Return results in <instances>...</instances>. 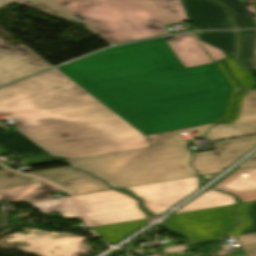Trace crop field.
<instances>
[{
	"instance_id": "8a807250",
	"label": "crop field",
	"mask_w": 256,
	"mask_h": 256,
	"mask_svg": "<svg viewBox=\"0 0 256 256\" xmlns=\"http://www.w3.org/2000/svg\"><path fill=\"white\" fill-rule=\"evenodd\" d=\"M144 136L214 122L233 88L215 63L185 69L163 38L57 68Z\"/></svg>"
},
{
	"instance_id": "ac0d7876",
	"label": "crop field",
	"mask_w": 256,
	"mask_h": 256,
	"mask_svg": "<svg viewBox=\"0 0 256 256\" xmlns=\"http://www.w3.org/2000/svg\"><path fill=\"white\" fill-rule=\"evenodd\" d=\"M0 115L68 159L150 147L147 138L56 69L0 89Z\"/></svg>"
},
{
	"instance_id": "34b2d1b8",
	"label": "crop field",
	"mask_w": 256,
	"mask_h": 256,
	"mask_svg": "<svg viewBox=\"0 0 256 256\" xmlns=\"http://www.w3.org/2000/svg\"><path fill=\"white\" fill-rule=\"evenodd\" d=\"M214 123L147 136L151 148L68 160L107 182L111 188L129 187L197 176L189 167L190 154L181 132L195 129L200 136Z\"/></svg>"
},
{
	"instance_id": "412701ff",
	"label": "crop field",
	"mask_w": 256,
	"mask_h": 256,
	"mask_svg": "<svg viewBox=\"0 0 256 256\" xmlns=\"http://www.w3.org/2000/svg\"><path fill=\"white\" fill-rule=\"evenodd\" d=\"M112 44L167 34L187 21L179 0H52Z\"/></svg>"
},
{
	"instance_id": "f4fd0767",
	"label": "crop field",
	"mask_w": 256,
	"mask_h": 256,
	"mask_svg": "<svg viewBox=\"0 0 256 256\" xmlns=\"http://www.w3.org/2000/svg\"><path fill=\"white\" fill-rule=\"evenodd\" d=\"M90 227L146 218L137 200L113 190L75 196Z\"/></svg>"
},
{
	"instance_id": "dd49c442",
	"label": "crop field",
	"mask_w": 256,
	"mask_h": 256,
	"mask_svg": "<svg viewBox=\"0 0 256 256\" xmlns=\"http://www.w3.org/2000/svg\"><path fill=\"white\" fill-rule=\"evenodd\" d=\"M232 206L176 214L163 223L168 230L186 234L192 242L219 238L236 220L229 214Z\"/></svg>"
},
{
	"instance_id": "e52e79f7",
	"label": "crop field",
	"mask_w": 256,
	"mask_h": 256,
	"mask_svg": "<svg viewBox=\"0 0 256 256\" xmlns=\"http://www.w3.org/2000/svg\"><path fill=\"white\" fill-rule=\"evenodd\" d=\"M198 187L197 177L126 188L144 199V207L157 215ZM194 192V191H193ZM190 195V194H189Z\"/></svg>"
},
{
	"instance_id": "d8731c3e",
	"label": "crop field",
	"mask_w": 256,
	"mask_h": 256,
	"mask_svg": "<svg viewBox=\"0 0 256 256\" xmlns=\"http://www.w3.org/2000/svg\"><path fill=\"white\" fill-rule=\"evenodd\" d=\"M52 67L24 45L11 46L0 39V85Z\"/></svg>"
},
{
	"instance_id": "5a996713",
	"label": "crop field",
	"mask_w": 256,
	"mask_h": 256,
	"mask_svg": "<svg viewBox=\"0 0 256 256\" xmlns=\"http://www.w3.org/2000/svg\"><path fill=\"white\" fill-rule=\"evenodd\" d=\"M214 146L216 150L193 154L192 166L199 170V175L224 170L245 152L256 146V136L221 142Z\"/></svg>"
},
{
	"instance_id": "3316defc",
	"label": "crop field",
	"mask_w": 256,
	"mask_h": 256,
	"mask_svg": "<svg viewBox=\"0 0 256 256\" xmlns=\"http://www.w3.org/2000/svg\"><path fill=\"white\" fill-rule=\"evenodd\" d=\"M27 174L37 176L56 184L67 190L73 196L109 189L103 181L97 180L91 175L82 171H77L69 166L30 172Z\"/></svg>"
},
{
	"instance_id": "28ad6ade",
	"label": "crop field",
	"mask_w": 256,
	"mask_h": 256,
	"mask_svg": "<svg viewBox=\"0 0 256 256\" xmlns=\"http://www.w3.org/2000/svg\"><path fill=\"white\" fill-rule=\"evenodd\" d=\"M187 17L197 29H232L228 22L229 12L210 0H180Z\"/></svg>"
},
{
	"instance_id": "d1516ede",
	"label": "crop field",
	"mask_w": 256,
	"mask_h": 256,
	"mask_svg": "<svg viewBox=\"0 0 256 256\" xmlns=\"http://www.w3.org/2000/svg\"><path fill=\"white\" fill-rule=\"evenodd\" d=\"M166 43L185 68L212 63V59L199 44L194 33L174 35Z\"/></svg>"
},
{
	"instance_id": "22f410ed",
	"label": "crop field",
	"mask_w": 256,
	"mask_h": 256,
	"mask_svg": "<svg viewBox=\"0 0 256 256\" xmlns=\"http://www.w3.org/2000/svg\"><path fill=\"white\" fill-rule=\"evenodd\" d=\"M214 189L235 194L243 203L256 201V167L236 171Z\"/></svg>"
},
{
	"instance_id": "cbeb9de0",
	"label": "crop field",
	"mask_w": 256,
	"mask_h": 256,
	"mask_svg": "<svg viewBox=\"0 0 256 256\" xmlns=\"http://www.w3.org/2000/svg\"><path fill=\"white\" fill-rule=\"evenodd\" d=\"M60 189L46 183H36L25 186L0 190V199L6 203L30 202L54 198L50 194Z\"/></svg>"
},
{
	"instance_id": "5142ce71",
	"label": "crop field",
	"mask_w": 256,
	"mask_h": 256,
	"mask_svg": "<svg viewBox=\"0 0 256 256\" xmlns=\"http://www.w3.org/2000/svg\"><path fill=\"white\" fill-rule=\"evenodd\" d=\"M0 146L5 147L7 153L21 152L27 156L42 153L47 156H52L17 130L4 133L0 132Z\"/></svg>"
},
{
	"instance_id": "d9b57169",
	"label": "crop field",
	"mask_w": 256,
	"mask_h": 256,
	"mask_svg": "<svg viewBox=\"0 0 256 256\" xmlns=\"http://www.w3.org/2000/svg\"><path fill=\"white\" fill-rule=\"evenodd\" d=\"M148 222V219H143L119 224L94 227L92 229L96 231L106 242L115 244L130 236Z\"/></svg>"
},
{
	"instance_id": "733c2abd",
	"label": "crop field",
	"mask_w": 256,
	"mask_h": 256,
	"mask_svg": "<svg viewBox=\"0 0 256 256\" xmlns=\"http://www.w3.org/2000/svg\"><path fill=\"white\" fill-rule=\"evenodd\" d=\"M237 54L242 70H251L256 46V30L236 31Z\"/></svg>"
},
{
	"instance_id": "4a817a6b",
	"label": "crop field",
	"mask_w": 256,
	"mask_h": 256,
	"mask_svg": "<svg viewBox=\"0 0 256 256\" xmlns=\"http://www.w3.org/2000/svg\"><path fill=\"white\" fill-rule=\"evenodd\" d=\"M28 204L42 214L59 212L65 221L81 218L71 197L30 202Z\"/></svg>"
},
{
	"instance_id": "bc2a9ffb",
	"label": "crop field",
	"mask_w": 256,
	"mask_h": 256,
	"mask_svg": "<svg viewBox=\"0 0 256 256\" xmlns=\"http://www.w3.org/2000/svg\"><path fill=\"white\" fill-rule=\"evenodd\" d=\"M235 203L236 201L231 195L222 194L215 190H209L198 196L196 199L191 201L189 204L181 208L176 213L232 205Z\"/></svg>"
},
{
	"instance_id": "214f88e0",
	"label": "crop field",
	"mask_w": 256,
	"mask_h": 256,
	"mask_svg": "<svg viewBox=\"0 0 256 256\" xmlns=\"http://www.w3.org/2000/svg\"><path fill=\"white\" fill-rule=\"evenodd\" d=\"M256 134V126L220 124L209 129L205 137L210 141H219Z\"/></svg>"
},
{
	"instance_id": "92a150f3",
	"label": "crop field",
	"mask_w": 256,
	"mask_h": 256,
	"mask_svg": "<svg viewBox=\"0 0 256 256\" xmlns=\"http://www.w3.org/2000/svg\"><path fill=\"white\" fill-rule=\"evenodd\" d=\"M198 39L231 55L235 52L234 32H197Z\"/></svg>"
},
{
	"instance_id": "dafd665d",
	"label": "crop field",
	"mask_w": 256,
	"mask_h": 256,
	"mask_svg": "<svg viewBox=\"0 0 256 256\" xmlns=\"http://www.w3.org/2000/svg\"><path fill=\"white\" fill-rule=\"evenodd\" d=\"M226 6L231 12V21L235 29L256 27L248 13L245 11L239 0H216Z\"/></svg>"
},
{
	"instance_id": "00972430",
	"label": "crop field",
	"mask_w": 256,
	"mask_h": 256,
	"mask_svg": "<svg viewBox=\"0 0 256 256\" xmlns=\"http://www.w3.org/2000/svg\"><path fill=\"white\" fill-rule=\"evenodd\" d=\"M231 124L256 125V91H250L245 96L239 119Z\"/></svg>"
},
{
	"instance_id": "a9b5d70f",
	"label": "crop field",
	"mask_w": 256,
	"mask_h": 256,
	"mask_svg": "<svg viewBox=\"0 0 256 256\" xmlns=\"http://www.w3.org/2000/svg\"><path fill=\"white\" fill-rule=\"evenodd\" d=\"M15 3L79 24L48 0H19Z\"/></svg>"
},
{
	"instance_id": "4177f3b9",
	"label": "crop field",
	"mask_w": 256,
	"mask_h": 256,
	"mask_svg": "<svg viewBox=\"0 0 256 256\" xmlns=\"http://www.w3.org/2000/svg\"><path fill=\"white\" fill-rule=\"evenodd\" d=\"M240 87L253 89L256 87L250 71H242L234 57L223 60Z\"/></svg>"
},
{
	"instance_id": "730fd06b",
	"label": "crop field",
	"mask_w": 256,
	"mask_h": 256,
	"mask_svg": "<svg viewBox=\"0 0 256 256\" xmlns=\"http://www.w3.org/2000/svg\"><path fill=\"white\" fill-rule=\"evenodd\" d=\"M36 182L42 181L27 175L12 172L8 169L0 170V189Z\"/></svg>"
},
{
	"instance_id": "eef30255",
	"label": "crop field",
	"mask_w": 256,
	"mask_h": 256,
	"mask_svg": "<svg viewBox=\"0 0 256 256\" xmlns=\"http://www.w3.org/2000/svg\"><path fill=\"white\" fill-rule=\"evenodd\" d=\"M251 203L252 202L242 204L234 211L236 216L242 220V223L230 231L228 237L239 235V233L242 232L245 228L251 226L252 220L248 215V209Z\"/></svg>"
},
{
	"instance_id": "ae1a2a85",
	"label": "crop field",
	"mask_w": 256,
	"mask_h": 256,
	"mask_svg": "<svg viewBox=\"0 0 256 256\" xmlns=\"http://www.w3.org/2000/svg\"><path fill=\"white\" fill-rule=\"evenodd\" d=\"M216 65L218 66L219 70L222 72V74L225 76V78L229 81V83L234 88V90L228 100L226 117L215 122V123H220V122H222L226 119H229L231 117V113H232V109H233V102H234L235 97L237 96V93L240 91V88L238 87L237 83L233 80V78L230 76L229 72L227 71L226 67L223 65L222 62H218V63H216Z\"/></svg>"
},
{
	"instance_id": "d3111659",
	"label": "crop field",
	"mask_w": 256,
	"mask_h": 256,
	"mask_svg": "<svg viewBox=\"0 0 256 256\" xmlns=\"http://www.w3.org/2000/svg\"><path fill=\"white\" fill-rule=\"evenodd\" d=\"M200 44L206 50V52L209 54V56L213 59L214 62H218V61H221V59L226 58L222 54V51H220V50H218L216 48H213V47H211L209 45H206V44H204L202 42H200Z\"/></svg>"
},
{
	"instance_id": "750c4746",
	"label": "crop field",
	"mask_w": 256,
	"mask_h": 256,
	"mask_svg": "<svg viewBox=\"0 0 256 256\" xmlns=\"http://www.w3.org/2000/svg\"><path fill=\"white\" fill-rule=\"evenodd\" d=\"M248 93V90L246 89H242V92L239 93V97L236 98V102H235V109H234V113H233V116H232V119H229L223 123H230L234 120H236L238 118V115H239V111H240V108H241V104H242V99L243 97Z\"/></svg>"
},
{
	"instance_id": "bd1437ed",
	"label": "crop field",
	"mask_w": 256,
	"mask_h": 256,
	"mask_svg": "<svg viewBox=\"0 0 256 256\" xmlns=\"http://www.w3.org/2000/svg\"><path fill=\"white\" fill-rule=\"evenodd\" d=\"M249 214L253 220V224L250 228L245 229L241 234L245 233H251V232H256V202H253L250 209H249Z\"/></svg>"
},
{
	"instance_id": "1d83c4d3",
	"label": "crop field",
	"mask_w": 256,
	"mask_h": 256,
	"mask_svg": "<svg viewBox=\"0 0 256 256\" xmlns=\"http://www.w3.org/2000/svg\"><path fill=\"white\" fill-rule=\"evenodd\" d=\"M241 245L249 244V243H255L256 242V234L255 235H249V236H243L237 238Z\"/></svg>"
},
{
	"instance_id": "120bbe31",
	"label": "crop field",
	"mask_w": 256,
	"mask_h": 256,
	"mask_svg": "<svg viewBox=\"0 0 256 256\" xmlns=\"http://www.w3.org/2000/svg\"><path fill=\"white\" fill-rule=\"evenodd\" d=\"M248 256H256V243L243 246Z\"/></svg>"
},
{
	"instance_id": "d32e631a",
	"label": "crop field",
	"mask_w": 256,
	"mask_h": 256,
	"mask_svg": "<svg viewBox=\"0 0 256 256\" xmlns=\"http://www.w3.org/2000/svg\"><path fill=\"white\" fill-rule=\"evenodd\" d=\"M243 164V163H242ZM256 166V154L252 156L249 160H247L243 165H241L238 169L253 167Z\"/></svg>"
},
{
	"instance_id": "5866460e",
	"label": "crop field",
	"mask_w": 256,
	"mask_h": 256,
	"mask_svg": "<svg viewBox=\"0 0 256 256\" xmlns=\"http://www.w3.org/2000/svg\"><path fill=\"white\" fill-rule=\"evenodd\" d=\"M17 0H0V8L11 3V2H15Z\"/></svg>"
},
{
	"instance_id": "028f5c9d",
	"label": "crop field",
	"mask_w": 256,
	"mask_h": 256,
	"mask_svg": "<svg viewBox=\"0 0 256 256\" xmlns=\"http://www.w3.org/2000/svg\"><path fill=\"white\" fill-rule=\"evenodd\" d=\"M253 69H256V53H255V60H254V66Z\"/></svg>"
},
{
	"instance_id": "e1f06a70",
	"label": "crop field",
	"mask_w": 256,
	"mask_h": 256,
	"mask_svg": "<svg viewBox=\"0 0 256 256\" xmlns=\"http://www.w3.org/2000/svg\"><path fill=\"white\" fill-rule=\"evenodd\" d=\"M231 256H247L246 253L243 254H237V255H231Z\"/></svg>"
},
{
	"instance_id": "0bd39190",
	"label": "crop field",
	"mask_w": 256,
	"mask_h": 256,
	"mask_svg": "<svg viewBox=\"0 0 256 256\" xmlns=\"http://www.w3.org/2000/svg\"><path fill=\"white\" fill-rule=\"evenodd\" d=\"M1 154H4V153H3L2 149L0 148V155H1Z\"/></svg>"
},
{
	"instance_id": "b80d0937",
	"label": "crop field",
	"mask_w": 256,
	"mask_h": 256,
	"mask_svg": "<svg viewBox=\"0 0 256 256\" xmlns=\"http://www.w3.org/2000/svg\"><path fill=\"white\" fill-rule=\"evenodd\" d=\"M0 169H5V168H3V167L0 166Z\"/></svg>"
}]
</instances>
